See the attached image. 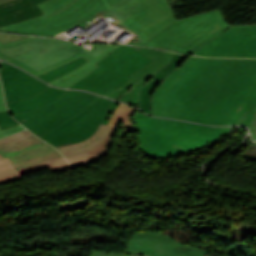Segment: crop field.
I'll use <instances>...</instances> for the list:
<instances>
[{"instance_id":"obj_1","label":"crop field","mask_w":256,"mask_h":256,"mask_svg":"<svg viewBox=\"0 0 256 256\" xmlns=\"http://www.w3.org/2000/svg\"><path fill=\"white\" fill-rule=\"evenodd\" d=\"M38 6L44 16L0 28L54 36L101 14L132 30L139 46L192 55L230 27L219 9L176 21L167 0H47Z\"/></svg>"},{"instance_id":"obj_2","label":"crop field","mask_w":256,"mask_h":256,"mask_svg":"<svg viewBox=\"0 0 256 256\" xmlns=\"http://www.w3.org/2000/svg\"><path fill=\"white\" fill-rule=\"evenodd\" d=\"M152 115L245 124L256 140V59L191 57L155 89Z\"/></svg>"},{"instance_id":"obj_3","label":"crop field","mask_w":256,"mask_h":256,"mask_svg":"<svg viewBox=\"0 0 256 256\" xmlns=\"http://www.w3.org/2000/svg\"><path fill=\"white\" fill-rule=\"evenodd\" d=\"M118 46L74 45V43L66 41L29 37L5 44H2L0 41V58L10 63H15L36 76L66 64L80 56L88 59V62L75 70L49 82L59 87L68 88L99 67L95 63Z\"/></svg>"},{"instance_id":"obj_4","label":"crop field","mask_w":256,"mask_h":256,"mask_svg":"<svg viewBox=\"0 0 256 256\" xmlns=\"http://www.w3.org/2000/svg\"><path fill=\"white\" fill-rule=\"evenodd\" d=\"M135 122L140 129L141 148L152 159L172 157L199 148L233 129L151 118L139 111Z\"/></svg>"},{"instance_id":"obj_5","label":"crop field","mask_w":256,"mask_h":256,"mask_svg":"<svg viewBox=\"0 0 256 256\" xmlns=\"http://www.w3.org/2000/svg\"><path fill=\"white\" fill-rule=\"evenodd\" d=\"M151 62L153 61L133 47L120 45L96 63L100 66L99 68L70 88L85 89L106 96L128 82L129 75Z\"/></svg>"},{"instance_id":"obj_6","label":"crop field","mask_w":256,"mask_h":256,"mask_svg":"<svg viewBox=\"0 0 256 256\" xmlns=\"http://www.w3.org/2000/svg\"><path fill=\"white\" fill-rule=\"evenodd\" d=\"M98 96L87 92L68 90L53 102L30 112L12 115L36 135H41L75 116Z\"/></svg>"},{"instance_id":"obj_7","label":"crop field","mask_w":256,"mask_h":256,"mask_svg":"<svg viewBox=\"0 0 256 256\" xmlns=\"http://www.w3.org/2000/svg\"><path fill=\"white\" fill-rule=\"evenodd\" d=\"M110 103L111 100L99 97L75 117L40 138L54 147L80 142L97 129Z\"/></svg>"},{"instance_id":"obj_8","label":"crop field","mask_w":256,"mask_h":256,"mask_svg":"<svg viewBox=\"0 0 256 256\" xmlns=\"http://www.w3.org/2000/svg\"><path fill=\"white\" fill-rule=\"evenodd\" d=\"M133 47L145 54V56L154 62L142 70L133 73L129 76V78L132 79L131 81L107 96L138 105L141 86L144 85V83L152 77L156 71L168 75L171 71L179 67L187 56L162 50Z\"/></svg>"},{"instance_id":"obj_9","label":"crop field","mask_w":256,"mask_h":256,"mask_svg":"<svg viewBox=\"0 0 256 256\" xmlns=\"http://www.w3.org/2000/svg\"><path fill=\"white\" fill-rule=\"evenodd\" d=\"M193 55L256 58V25L230 27Z\"/></svg>"},{"instance_id":"obj_10","label":"crop field","mask_w":256,"mask_h":256,"mask_svg":"<svg viewBox=\"0 0 256 256\" xmlns=\"http://www.w3.org/2000/svg\"><path fill=\"white\" fill-rule=\"evenodd\" d=\"M42 142L41 139L25 130L1 139L0 154L6 155L15 169L61 156L52 146L47 143L42 144Z\"/></svg>"},{"instance_id":"obj_11","label":"crop field","mask_w":256,"mask_h":256,"mask_svg":"<svg viewBox=\"0 0 256 256\" xmlns=\"http://www.w3.org/2000/svg\"><path fill=\"white\" fill-rule=\"evenodd\" d=\"M125 253L148 256H203L208 252L181 244L165 234L136 230Z\"/></svg>"},{"instance_id":"obj_12","label":"crop field","mask_w":256,"mask_h":256,"mask_svg":"<svg viewBox=\"0 0 256 256\" xmlns=\"http://www.w3.org/2000/svg\"><path fill=\"white\" fill-rule=\"evenodd\" d=\"M0 75L7 103L27 99L50 87L2 61Z\"/></svg>"},{"instance_id":"obj_13","label":"crop field","mask_w":256,"mask_h":256,"mask_svg":"<svg viewBox=\"0 0 256 256\" xmlns=\"http://www.w3.org/2000/svg\"><path fill=\"white\" fill-rule=\"evenodd\" d=\"M135 110V108L119 103L116 111L114 112L109 122V124L113 125V127L105 141L99 147L91 151L82 154H77L72 157H68L67 160L70 162V164L73 165L74 167H78L105 156L109 152V150H107L105 147L111 140V137L116 127L120 126L122 120L124 121V129L122 132H131L135 130V127L130 122V117Z\"/></svg>"},{"instance_id":"obj_14","label":"crop field","mask_w":256,"mask_h":256,"mask_svg":"<svg viewBox=\"0 0 256 256\" xmlns=\"http://www.w3.org/2000/svg\"><path fill=\"white\" fill-rule=\"evenodd\" d=\"M45 0H14L0 5V26L43 15L36 4ZM4 31V30H0ZM8 32V31H4ZM11 33V32H8Z\"/></svg>"},{"instance_id":"obj_15","label":"crop field","mask_w":256,"mask_h":256,"mask_svg":"<svg viewBox=\"0 0 256 256\" xmlns=\"http://www.w3.org/2000/svg\"><path fill=\"white\" fill-rule=\"evenodd\" d=\"M66 91L67 90L50 87L32 98H29L23 101L9 103L7 104V106L11 114L30 111L38 106L44 105L58 98L59 96L64 94Z\"/></svg>"},{"instance_id":"obj_16","label":"crop field","mask_w":256,"mask_h":256,"mask_svg":"<svg viewBox=\"0 0 256 256\" xmlns=\"http://www.w3.org/2000/svg\"><path fill=\"white\" fill-rule=\"evenodd\" d=\"M111 127L112 126L110 125L101 124L95 133L85 141L64 147H58L57 149L64 157L93 149L104 141Z\"/></svg>"},{"instance_id":"obj_17","label":"crop field","mask_w":256,"mask_h":256,"mask_svg":"<svg viewBox=\"0 0 256 256\" xmlns=\"http://www.w3.org/2000/svg\"><path fill=\"white\" fill-rule=\"evenodd\" d=\"M72 168L63 156L57 157L51 160H47L41 163H37L31 166H27L21 169H17L20 175L38 172L49 169L50 173L58 172L64 169Z\"/></svg>"},{"instance_id":"obj_18","label":"crop field","mask_w":256,"mask_h":256,"mask_svg":"<svg viewBox=\"0 0 256 256\" xmlns=\"http://www.w3.org/2000/svg\"><path fill=\"white\" fill-rule=\"evenodd\" d=\"M161 73L156 72L154 76L149 79L144 86L141 88V93L139 97V106L142 110H144L147 114L151 115L150 108V99L154 89L160 83V81L165 77Z\"/></svg>"},{"instance_id":"obj_19","label":"crop field","mask_w":256,"mask_h":256,"mask_svg":"<svg viewBox=\"0 0 256 256\" xmlns=\"http://www.w3.org/2000/svg\"><path fill=\"white\" fill-rule=\"evenodd\" d=\"M21 179L9 159L0 155V184Z\"/></svg>"},{"instance_id":"obj_20","label":"crop field","mask_w":256,"mask_h":256,"mask_svg":"<svg viewBox=\"0 0 256 256\" xmlns=\"http://www.w3.org/2000/svg\"><path fill=\"white\" fill-rule=\"evenodd\" d=\"M86 61H88V60L80 57V58H78V59H76V60H74V61H72V62H70L66 65H63L59 68H56L52 71H49L45 74H42V75L38 76V77L48 82V81H50V80H52V79H54V78H56V77H58V76H60L64 73L80 66L81 64H83Z\"/></svg>"},{"instance_id":"obj_21","label":"crop field","mask_w":256,"mask_h":256,"mask_svg":"<svg viewBox=\"0 0 256 256\" xmlns=\"http://www.w3.org/2000/svg\"><path fill=\"white\" fill-rule=\"evenodd\" d=\"M0 111H8L6 106H5V101H4V97H3V91H2V86H1V82H0ZM25 128L23 126H21L20 124L16 125V126H12L6 129H2L0 130V138L5 137L7 135L13 134L15 132L18 131H22Z\"/></svg>"},{"instance_id":"obj_22","label":"crop field","mask_w":256,"mask_h":256,"mask_svg":"<svg viewBox=\"0 0 256 256\" xmlns=\"http://www.w3.org/2000/svg\"><path fill=\"white\" fill-rule=\"evenodd\" d=\"M18 124L8 112H0V128H6Z\"/></svg>"},{"instance_id":"obj_23","label":"crop field","mask_w":256,"mask_h":256,"mask_svg":"<svg viewBox=\"0 0 256 256\" xmlns=\"http://www.w3.org/2000/svg\"><path fill=\"white\" fill-rule=\"evenodd\" d=\"M117 105H118V102L112 101V103H111V105H110V107H109V109H108V111H107V113H106L102 123L108 124V122H109L113 112L115 111Z\"/></svg>"},{"instance_id":"obj_24","label":"crop field","mask_w":256,"mask_h":256,"mask_svg":"<svg viewBox=\"0 0 256 256\" xmlns=\"http://www.w3.org/2000/svg\"><path fill=\"white\" fill-rule=\"evenodd\" d=\"M24 37H27V36H19V35H11V34L0 33V40L2 41V43L12 41V40H16V39H20V38H24Z\"/></svg>"},{"instance_id":"obj_25","label":"crop field","mask_w":256,"mask_h":256,"mask_svg":"<svg viewBox=\"0 0 256 256\" xmlns=\"http://www.w3.org/2000/svg\"><path fill=\"white\" fill-rule=\"evenodd\" d=\"M91 256H129V255L103 254V253L93 252Z\"/></svg>"},{"instance_id":"obj_26","label":"crop field","mask_w":256,"mask_h":256,"mask_svg":"<svg viewBox=\"0 0 256 256\" xmlns=\"http://www.w3.org/2000/svg\"><path fill=\"white\" fill-rule=\"evenodd\" d=\"M11 0H0V4Z\"/></svg>"},{"instance_id":"obj_27","label":"crop field","mask_w":256,"mask_h":256,"mask_svg":"<svg viewBox=\"0 0 256 256\" xmlns=\"http://www.w3.org/2000/svg\"><path fill=\"white\" fill-rule=\"evenodd\" d=\"M207 256H209V255H207Z\"/></svg>"}]
</instances>
